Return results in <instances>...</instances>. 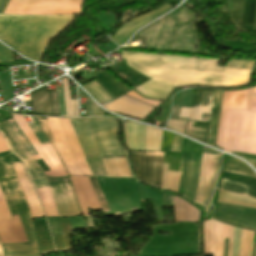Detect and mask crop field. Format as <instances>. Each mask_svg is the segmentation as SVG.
<instances>
[{"mask_svg": "<svg viewBox=\"0 0 256 256\" xmlns=\"http://www.w3.org/2000/svg\"><path fill=\"white\" fill-rule=\"evenodd\" d=\"M0 131L3 133L11 151L24 161L35 188L38 189L49 186L45 176L41 174L43 172L37 167L38 165L32 158V156L38 155V153L13 118L5 122L1 120ZM33 164L37 165H34V169L41 173L33 170Z\"/></svg>", "mask_w": 256, "mask_h": 256, "instance_id": "e52e79f7", "label": "crop field"}, {"mask_svg": "<svg viewBox=\"0 0 256 256\" xmlns=\"http://www.w3.org/2000/svg\"><path fill=\"white\" fill-rule=\"evenodd\" d=\"M126 95H128V96H130V97H132V98H134V99H137V100H139V101L145 102V103H147V104L153 105V106H155V107H157V106L160 104V102L150 101V100H146V99L140 97V96H139L138 94H136L133 90L130 91V92H129L128 94H126Z\"/></svg>", "mask_w": 256, "mask_h": 256, "instance_id": "dbb93151", "label": "crop field"}, {"mask_svg": "<svg viewBox=\"0 0 256 256\" xmlns=\"http://www.w3.org/2000/svg\"><path fill=\"white\" fill-rule=\"evenodd\" d=\"M61 122V125L63 127V130L65 132V135L67 137V140L69 142V145L71 147V150L77 160V163L83 173V175H89V176H93L84 157L82 154V151L80 149V146L78 144V141L76 139V136L73 132V129L71 127L70 124V120L69 119H59Z\"/></svg>", "mask_w": 256, "mask_h": 256, "instance_id": "00972430", "label": "crop field"}, {"mask_svg": "<svg viewBox=\"0 0 256 256\" xmlns=\"http://www.w3.org/2000/svg\"><path fill=\"white\" fill-rule=\"evenodd\" d=\"M182 139H183V137H180V136H177V135L175 136L171 151H176V152L180 151Z\"/></svg>", "mask_w": 256, "mask_h": 256, "instance_id": "9d1cf04e", "label": "crop field"}, {"mask_svg": "<svg viewBox=\"0 0 256 256\" xmlns=\"http://www.w3.org/2000/svg\"><path fill=\"white\" fill-rule=\"evenodd\" d=\"M201 154L202 146L184 137L181 153L165 152L164 155V163L169 164L168 170L181 172L178 193L191 201L198 184Z\"/></svg>", "mask_w": 256, "mask_h": 256, "instance_id": "f4fd0767", "label": "crop field"}, {"mask_svg": "<svg viewBox=\"0 0 256 256\" xmlns=\"http://www.w3.org/2000/svg\"><path fill=\"white\" fill-rule=\"evenodd\" d=\"M105 109L144 120L154 109L125 96L103 106Z\"/></svg>", "mask_w": 256, "mask_h": 256, "instance_id": "bc2a9ffb", "label": "crop field"}, {"mask_svg": "<svg viewBox=\"0 0 256 256\" xmlns=\"http://www.w3.org/2000/svg\"><path fill=\"white\" fill-rule=\"evenodd\" d=\"M222 171L256 177V174L244 162L225 154Z\"/></svg>", "mask_w": 256, "mask_h": 256, "instance_id": "1d83c4d3", "label": "crop field"}, {"mask_svg": "<svg viewBox=\"0 0 256 256\" xmlns=\"http://www.w3.org/2000/svg\"><path fill=\"white\" fill-rule=\"evenodd\" d=\"M203 152H208V153H211V154H218L219 155V153H216V152H214L212 150L203 149Z\"/></svg>", "mask_w": 256, "mask_h": 256, "instance_id": "7b73153f", "label": "crop field"}, {"mask_svg": "<svg viewBox=\"0 0 256 256\" xmlns=\"http://www.w3.org/2000/svg\"><path fill=\"white\" fill-rule=\"evenodd\" d=\"M89 179H90V181H91V183L93 185V188H94V190L96 192V195H97V197L99 199V202H100V205H101L102 209L104 210V212L110 211V209H109V207H108V205H107V203H106V201H105V199H104V197H103V195H102V193H101V191L99 189V186L97 184L96 179L95 178H89Z\"/></svg>", "mask_w": 256, "mask_h": 256, "instance_id": "b54c1fbb", "label": "crop field"}, {"mask_svg": "<svg viewBox=\"0 0 256 256\" xmlns=\"http://www.w3.org/2000/svg\"><path fill=\"white\" fill-rule=\"evenodd\" d=\"M0 88L5 102L13 98L10 69L0 72Z\"/></svg>", "mask_w": 256, "mask_h": 256, "instance_id": "028f5c9d", "label": "crop field"}, {"mask_svg": "<svg viewBox=\"0 0 256 256\" xmlns=\"http://www.w3.org/2000/svg\"><path fill=\"white\" fill-rule=\"evenodd\" d=\"M36 118H37L38 122L40 123V125H41V127H42V129H43V131H44V133H45V135H46V137H47L49 143H50L51 146L54 148V150L56 151V153H57L59 159L61 160L60 155H59V153H58V151H57V148H56V146H55V144H54V141H53V139H52L51 133H50V131H49L46 118H41V117H36ZM61 162H62V160H61ZM62 164H63V162H62ZM63 166H64V164H63ZM64 168H65V166H64ZM65 170H66V168H65ZM66 171H67V170H66ZM67 173H68V171H67ZM68 175H69V173H68Z\"/></svg>", "mask_w": 256, "mask_h": 256, "instance_id": "b80d0937", "label": "crop field"}, {"mask_svg": "<svg viewBox=\"0 0 256 256\" xmlns=\"http://www.w3.org/2000/svg\"><path fill=\"white\" fill-rule=\"evenodd\" d=\"M31 118H32L33 122H31L29 124L30 128L35 133V135L38 138V140L40 141L41 145L47 144L48 141H47L43 131L41 130L36 118L35 117H31Z\"/></svg>", "mask_w": 256, "mask_h": 256, "instance_id": "c035e120", "label": "crop field"}, {"mask_svg": "<svg viewBox=\"0 0 256 256\" xmlns=\"http://www.w3.org/2000/svg\"><path fill=\"white\" fill-rule=\"evenodd\" d=\"M86 158L126 156L118 125L110 118L70 119Z\"/></svg>", "mask_w": 256, "mask_h": 256, "instance_id": "412701ff", "label": "crop field"}, {"mask_svg": "<svg viewBox=\"0 0 256 256\" xmlns=\"http://www.w3.org/2000/svg\"><path fill=\"white\" fill-rule=\"evenodd\" d=\"M216 145L226 152L256 154V87L224 91Z\"/></svg>", "mask_w": 256, "mask_h": 256, "instance_id": "ac0d7876", "label": "crop field"}, {"mask_svg": "<svg viewBox=\"0 0 256 256\" xmlns=\"http://www.w3.org/2000/svg\"><path fill=\"white\" fill-rule=\"evenodd\" d=\"M34 115L59 116L56 90L43 86L30 93Z\"/></svg>", "mask_w": 256, "mask_h": 256, "instance_id": "733c2abd", "label": "crop field"}, {"mask_svg": "<svg viewBox=\"0 0 256 256\" xmlns=\"http://www.w3.org/2000/svg\"><path fill=\"white\" fill-rule=\"evenodd\" d=\"M34 228L36 231L40 251L42 252H48V251H54V246L49 234V230L46 224L45 219H36L34 220Z\"/></svg>", "mask_w": 256, "mask_h": 256, "instance_id": "730fd06b", "label": "crop field"}, {"mask_svg": "<svg viewBox=\"0 0 256 256\" xmlns=\"http://www.w3.org/2000/svg\"><path fill=\"white\" fill-rule=\"evenodd\" d=\"M191 93H192V89L182 91L181 106L190 107ZM189 111H190V108L181 107V112L179 117L189 118ZM184 118H179V119H184ZM184 120H189V119H184Z\"/></svg>", "mask_w": 256, "mask_h": 256, "instance_id": "0bd39190", "label": "crop field"}, {"mask_svg": "<svg viewBox=\"0 0 256 256\" xmlns=\"http://www.w3.org/2000/svg\"><path fill=\"white\" fill-rule=\"evenodd\" d=\"M24 0H9L3 14H17Z\"/></svg>", "mask_w": 256, "mask_h": 256, "instance_id": "5d738f31", "label": "crop field"}, {"mask_svg": "<svg viewBox=\"0 0 256 256\" xmlns=\"http://www.w3.org/2000/svg\"><path fill=\"white\" fill-rule=\"evenodd\" d=\"M84 0H25L19 14L72 15L80 14Z\"/></svg>", "mask_w": 256, "mask_h": 256, "instance_id": "d8731c3e", "label": "crop field"}, {"mask_svg": "<svg viewBox=\"0 0 256 256\" xmlns=\"http://www.w3.org/2000/svg\"><path fill=\"white\" fill-rule=\"evenodd\" d=\"M63 235L52 236L55 250H72L70 226L67 218H59Z\"/></svg>", "mask_w": 256, "mask_h": 256, "instance_id": "750c4746", "label": "crop field"}, {"mask_svg": "<svg viewBox=\"0 0 256 256\" xmlns=\"http://www.w3.org/2000/svg\"><path fill=\"white\" fill-rule=\"evenodd\" d=\"M83 216H89L87 206L102 210L88 178L70 177Z\"/></svg>", "mask_w": 256, "mask_h": 256, "instance_id": "4a817a6b", "label": "crop field"}, {"mask_svg": "<svg viewBox=\"0 0 256 256\" xmlns=\"http://www.w3.org/2000/svg\"><path fill=\"white\" fill-rule=\"evenodd\" d=\"M12 117L15 119V121L18 123V125L21 127V129L24 131V133L27 135V137L31 141V143L34 146V148L36 149V151L40 154L42 159L47 164L50 172H44L45 175H49V176H53V177L67 176L66 172H65L61 162L59 161L55 151L53 150V148L50 146V144L44 145V146L40 145V143L36 139L35 135L29 128L24 116L13 115Z\"/></svg>", "mask_w": 256, "mask_h": 256, "instance_id": "22f410ed", "label": "crop field"}, {"mask_svg": "<svg viewBox=\"0 0 256 256\" xmlns=\"http://www.w3.org/2000/svg\"><path fill=\"white\" fill-rule=\"evenodd\" d=\"M3 250L5 253V256H39V248L37 242L30 243H21V244H8V245H2Z\"/></svg>", "mask_w": 256, "mask_h": 256, "instance_id": "eef30255", "label": "crop field"}, {"mask_svg": "<svg viewBox=\"0 0 256 256\" xmlns=\"http://www.w3.org/2000/svg\"><path fill=\"white\" fill-rule=\"evenodd\" d=\"M47 120L61 158L70 175H82L70 150L59 120L52 118H47Z\"/></svg>", "mask_w": 256, "mask_h": 256, "instance_id": "d9b57169", "label": "crop field"}, {"mask_svg": "<svg viewBox=\"0 0 256 256\" xmlns=\"http://www.w3.org/2000/svg\"><path fill=\"white\" fill-rule=\"evenodd\" d=\"M62 84H63V90H64L66 114H67V117H72L71 105H70V93H69L67 79H62Z\"/></svg>", "mask_w": 256, "mask_h": 256, "instance_id": "425ffa30", "label": "crop field"}, {"mask_svg": "<svg viewBox=\"0 0 256 256\" xmlns=\"http://www.w3.org/2000/svg\"><path fill=\"white\" fill-rule=\"evenodd\" d=\"M199 211L185 200L174 197L175 222H197Z\"/></svg>", "mask_w": 256, "mask_h": 256, "instance_id": "4177f3b9", "label": "crop field"}, {"mask_svg": "<svg viewBox=\"0 0 256 256\" xmlns=\"http://www.w3.org/2000/svg\"><path fill=\"white\" fill-rule=\"evenodd\" d=\"M84 88L100 104L111 100L108 94L95 81L84 86Z\"/></svg>", "mask_w": 256, "mask_h": 256, "instance_id": "e1f06a70", "label": "crop field"}, {"mask_svg": "<svg viewBox=\"0 0 256 256\" xmlns=\"http://www.w3.org/2000/svg\"><path fill=\"white\" fill-rule=\"evenodd\" d=\"M4 2H5V0H0V10H1V8H2Z\"/></svg>", "mask_w": 256, "mask_h": 256, "instance_id": "78b8030e", "label": "crop field"}, {"mask_svg": "<svg viewBox=\"0 0 256 256\" xmlns=\"http://www.w3.org/2000/svg\"><path fill=\"white\" fill-rule=\"evenodd\" d=\"M102 160H103L106 176L107 177H119L116 167H115L114 159L107 158V159H102Z\"/></svg>", "mask_w": 256, "mask_h": 256, "instance_id": "03da06ac", "label": "crop field"}, {"mask_svg": "<svg viewBox=\"0 0 256 256\" xmlns=\"http://www.w3.org/2000/svg\"><path fill=\"white\" fill-rule=\"evenodd\" d=\"M230 154H234L241 157L242 159L249 162L256 169V156L244 155V154H238V153H230Z\"/></svg>", "mask_w": 256, "mask_h": 256, "instance_id": "1d79db26", "label": "crop field"}, {"mask_svg": "<svg viewBox=\"0 0 256 256\" xmlns=\"http://www.w3.org/2000/svg\"><path fill=\"white\" fill-rule=\"evenodd\" d=\"M60 116L66 117L62 90H57Z\"/></svg>", "mask_w": 256, "mask_h": 256, "instance_id": "0fb4a251", "label": "crop field"}, {"mask_svg": "<svg viewBox=\"0 0 256 256\" xmlns=\"http://www.w3.org/2000/svg\"><path fill=\"white\" fill-rule=\"evenodd\" d=\"M225 224L214 220L203 223V245L204 254L213 256H223Z\"/></svg>", "mask_w": 256, "mask_h": 256, "instance_id": "5142ce71", "label": "crop field"}, {"mask_svg": "<svg viewBox=\"0 0 256 256\" xmlns=\"http://www.w3.org/2000/svg\"><path fill=\"white\" fill-rule=\"evenodd\" d=\"M232 232H233V227L230 226L229 243H228V255L227 256L231 255Z\"/></svg>", "mask_w": 256, "mask_h": 256, "instance_id": "0765c3eb", "label": "crop field"}, {"mask_svg": "<svg viewBox=\"0 0 256 256\" xmlns=\"http://www.w3.org/2000/svg\"><path fill=\"white\" fill-rule=\"evenodd\" d=\"M249 235L250 231L242 229L240 256L248 255Z\"/></svg>", "mask_w": 256, "mask_h": 256, "instance_id": "25e5ab78", "label": "crop field"}, {"mask_svg": "<svg viewBox=\"0 0 256 256\" xmlns=\"http://www.w3.org/2000/svg\"><path fill=\"white\" fill-rule=\"evenodd\" d=\"M121 53L129 67L151 79L135 89L145 97L159 100L180 86L244 87L249 83L254 63L228 60L225 67H216L218 60L213 59Z\"/></svg>", "mask_w": 256, "mask_h": 256, "instance_id": "8a807250", "label": "crop field"}, {"mask_svg": "<svg viewBox=\"0 0 256 256\" xmlns=\"http://www.w3.org/2000/svg\"><path fill=\"white\" fill-rule=\"evenodd\" d=\"M161 130L148 127L146 134V150L160 151Z\"/></svg>", "mask_w": 256, "mask_h": 256, "instance_id": "5866460e", "label": "crop field"}, {"mask_svg": "<svg viewBox=\"0 0 256 256\" xmlns=\"http://www.w3.org/2000/svg\"><path fill=\"white\" fill-rule=\"evenodd\" d=\"M213 218L233 225L256 229V210L233 205L218 204L214 210Z\"/></svg>", "mask_w": 256, "mask_h": 256, "instance_id": "cbeb9de0", "label": "crop field"}, {"mask_svg": "<svg viewBox=\"0 0 256 256\" xmlns=\"http://www.w3.org/2000/svg\"><path fill=\"white\" fill-rule=\"evenodd\" d=\"M130 154L134 163L136 178L161 188L164 152H130Z\"/></svg>", "mask_w": 256, "mask_h": 256, "instance_id": "5a996713", "label": "crop field"}, {"mask_svg": "<svg viewBox=\"0 0 256 256\" xmlns=\"http://www.w3.org/2000/svg\"><path fill=\"white\" fill-rule=\"evenodd\" d=\"M171 8L172 6L165 5L154 12H151L130 20L129 22L123 24L111 39H113L119 45L125 43L136 30H138L139 28H141L151 20L162 15L163 13L169 11Z\"/></svg>", "mask_w": 256, "mask_h": 256, "instance_id": "214f88e0", "label": "crop field"}, {"mask_svg": "<svg viewBox=\"0 0 256 256\" xmlns=\"http://www.w3.org/2000/svg\"><path fill=\"white\" fill-rule=\"evenodd\" d=\"M13 61L12 51L0 44V62Z\"/></svg>", "mask_w": 256, "mask_h": 256, "instance_id": "89e229c0", "label": "crop field"}, {"mask_svg": "<svg viewBox=\"0 0 256 256\" xmlns=\"http://www.w3.org/2000/svg\"><path fill=\"white\" fill-rule=\"evenodd\" d=\"M167 167L168 165L164 164L162 173V188L177 193L180 173L167 171Z\"/></svg>", "mask_w": 256, "mask_h": 256, "instance_id": "d32e631a", "label": "crop field"}, {"mask_svg": "<svg viewBox=\"0 0 256 256\" xmlns=\"http://www.w3.org/2000/svg\"><path fill=\"white\" fill-rule=\"evenodd\" d=\"M212 90L194 88L192 93L191 108L199 106H211ZM201 112L210 113V107L191 109L190 120L200 121ZM202 113L201 121H210V114Z\"/></svg>", "mask_w": 256, "mask_h": 256, "instance_id": "dafd665d", "label": "crop field"}, {"mask_svg": "<svg viewBox=\"0 0 256 256\" xmlns=\"http://www.w3.org/2000/svg\"><path fill=\"white\" fill-rule=\"evenodd\" d=\"M217 202L256 208V199L221 190Z\"/></svg>", "mask_w": 256, "mask_h": 256, "instance_id": "ae1a2a85", "label": "crop field"}, {"mask_svg": "<svg viewBox=\"0 0 256 256\" xmlns=\"http://www.w3.org/2000/svg\"><path fill=\"white\" fill-rule=\"evenodd\" d=\"M12 165H13L14 171L17 174L20 186L24 192L25 199L28 203L31 216L32 217L44 216L42 209L39 205L38 199L36 197L35 191L32 187L29 177L23 167L22 162L13 163Z\"/></svg>", "mask_w": 256, "mask_h": 256, "instance_id": "92a150f3", "label": "crop field"}, {"mask_svg": "<svg viewBox=\"0 0 256 256\" xmlns=\"http://www.w3.org/2000/svg\"><path fill=\"white\" fill-rule=\"evenodd\" d=\"M9 151L0 134V152ZM13 221L2 223V221ZM0 240L2 244L25 242L26 237L18 215L10 216L9 210L0 190Z\"/></svg>", "mask_w": 256, "mask_h": 256, "instance_id": "28ad6ade", "label": "crop field"}, {"mask_svg": "<svg viewBox=\"0 0 256 256\" xmlns=\"http://www.w3.org/2000/svg\"><path fill=\"white\" fill-rule=\"evenodd\" d=\"M240 238H241V229L234 227L233 244H232V255L231 256H238V254H239V246H240Z\"/></svg>", "mask_w": 256, "mask_h": 256, "instance_id": "d23c7cc5", "label": "crop field"}, {"mask_svg": "<svg viewBox=\"0 0 256 256\" xmlns=\"http://www.w3.org/2000/svg\"><path fill=\"white\" fill-rule=\"evenodd\" d=\"M220 189L256 198V188L222 179Z\"/></svg>", "mask_w": 256, "mask_h": 256, "instance_id": "120bbe31", "label": "crop field"}, {"mask_svg": "<svg viewBox=\"0 0 256 256\" xmlns=\"http://www.w3.org/2000/svg\"><path fill=\"white\" fill-rule=\"evenodd\" d=\"M222 90H214L212 102L211 126L208 145L214 146L216 139L217 123L220 112Z\"/></svg>", "mask_w": 256, "mask_h": 256, "instance_id": "bd1437ed", "label": "crop field"}, {"mask_svg": "<svg viewBox=\"0 0 256 256\" xmlns=\"http://www.w3.org/2000/svg\"><path fill=\"white\" fill-rule=\"evenodd\" d=\"M185 122L186 121L182 120H169L168 129L183 134L185 130Z\"/></svg>", "mask_w": 256, "mask_h": 256, "instance_id": "73cf0c24", "label": "crop field"}, {"mask_svg": "<svg viewBox=\"0 0 256 256\" xmlns=\"http://www.w3.org/2000/svg\"><path fill=\"white\" fill-rule=\"evenodd\" d=\"M102 116V112L87 98V117Z\"/></svg>", "mask_w": 256, "mask_h": 256, "instance_id": "1f2cbd36", "label": "crop field"}, {"mask_svg": "<svg viewBox=\"0 0 256 256\" xmlns=\"http://www.w3.org/2000/svg\"><path fill=\"white\" fill-rule=\"evenodd\" d=\"M213 155L203 154L201 162L200 177H209L212 168ZM220 165V156H214L213 168L210 178H200L195 196V203H198L207 209L215 180Z\"/></svg>", "mask_w": 256, "mask_h": 256, "instance_id": "d1516ede", "label": "crop field"}, {"mask_svg": "<svg viewBox=\"0 0 256 256\" xmlns=\"http://www.w3.org/2000/svg\"><path fill=\"white\" fill-rule=\"evenodd\" d=\"M77 17L0 15V39L39 62L49 42Z\"/></svg>", "mask_w": 256, "mask_h": 256, "instance_id": "34b2d1b8", "label": "crop field"}, {"mask_svg": "<svg viewBox=\"0 0 256 256\" xmlns=\"http://www.w3.org/2000/svg\"><path fill=\"white\" fill-rule=\"evenodd\" d=\"M125 127L129 149L145 150L146 127L128 122H125Z\"/></svg>", "mask_w": 256, "mask_h": 256, "instance_id": "a9b5d70f", "label": "crop field"}, {"mask_svg": "<svg viewBox=\"0 0 256 256\" xmlns=\"http://www.w3.org/2000/svg\"><path fill=\"white\" fill-rule=\"evenodd\" d=\"M19 161L11 151L0 154V188L11 215L19 214L28 241H37L32 219L10 162Z\"/></svg>", "mask_w": 256, "mask_h": 256, "instance_id": "dd49c442", "label": "crop field"}, {"mask_svg": "<svg viewBox=\"0 0 256 256\" xmlns=\"http://www.w3.org/2000/svg\"><path fill=\"white\" fill-rule=\"evenodd\" d=\"M210 123L187 121L185 135L207 144Z\"/></svg>", "mask_w": 256, "mask_h": 256, "instance_id": "d3111659", "label": "crop field"}, {"mask_svg": "<svg viewBox=\"0 0 256 256\" xmlns=\"http://www.w3.org/2000/svg\"><path fill=\"white\" fill-rule=\"evenodd\" d=\"M0 256H4V253H3L1 245H0Z\"/></svg>", "mask_w": 256, "mask_h": 256, "instance_id": "0f1d7ab4", "label": "crop field"}, {"mask_svg": "<svg viewBox=\"0 0 256 256\" xmlns=\"http://www.w3.org/2000/svg\"><path fill=\"white\" fill-rule=\"evenodd\" d=\"M120 177L131 178L125 158H114Z\"/></svg>", "mask_w": 256, "mask_h": 256, "instance_id": "c21b1889", "label": "crop field"}, {"mask_svg": "<svg viewBox=\"0 0 256 256\" xmlns=\"http://www.w3.org/2000/svg\"><path fill=\"white\" fill-rule=\"evenodd\" d=\"M73 117H79V109H77L76 100H71Z\"/></svg>", "mask_w": 256, "mask_h": 256, "instance_id": "447ae74e", "label": "crop field"}, {"mask_svg": "<svg viewBox=\"0 0 256 256\" xmlns=\"http://www.w3.org/2000/svg\"><path fill=\"white\" fill-rule=\"evenodd\" d=\"M254 233H255V231H251L250 245H249V255L248 256H251V254H252V246H253Z\"/></svg>", "mask_w": 256, "mask_h": 256, "instance_id": "db79e9e6", "label": "crop field"}, {"mask_svg": "<svg viewBox=\"0 0 256 256\" xmlns=\"http://www.w3.org/2000/svg\"><path fill=\"white\" fill-rule=\"evenodd\" d=\"M47 177V176H46ZM59 216L81 215L69 177H47Z\"/></svg>", "mask_w": 256, "mask_h": 256, "instance_id": "3316defc", "label": "crop field"}]
</instances>
